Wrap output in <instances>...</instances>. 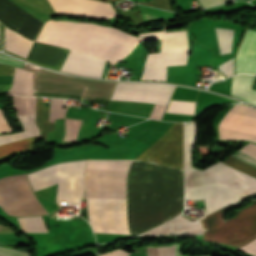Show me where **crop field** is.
<instances>
[{"instance_id": "obj_1", "label": "crop field", "mask_w": 256, "mask_h": 256, "mask_svg": "<svg viewBox=\"0 0 256 256\" xmlns=\"http://www.w3.org/2000/svg\"><path fill=\"white\" fill-rule=\"evenodd\" d=\"M137 160L183 169V123H176ZM133 160L128 170L130 235L140 234L180 214L183 170Z\"/></svg>"}, {"instance_id": "obj_2", "label": "crop field", "mask_w": 256, "mask_h": 256, "mask_svg": "<svg viewBox=\"0 0 256 256\" xmlns=\"http://www.w3.org/2000/svg\"><path fill=\"white\" fill-rule=\"evenodd\" d=\"M195 123H185V200L205 199L206 215L256 194V179L224 163L199 171L189 165Z\"/></svg>"}, {"instance_id": "obj_3", "label": "crop field", "mask_w": 256, "mask_h": 256, "mask_svg": "<svg viewBox=\"0 0 256 256\" xmlns=\"http://www.w3.org/2000/svg\"><path fill=\"white\" fill-rule=\"evenodd\" d=\"M162 35L163 32L140 34V40L160 38ZM36 41L88 53L113 63L122 57L138 38L108 27L49 20L45 22Z\"/></svg>"}, {"instance_id": "obj_4", "label": "crop field", "mask_w": 256, "mask_h": 256, "mask_svg": "<svg viewBox=\"0 0 256 256\" xmlns=\"http://www.w3.org/2000/svg\"><path fill=\"white\" fill-rule=\"evenodd\" d=\"M223 209L201 219L205 235L203 238L223 243L243 246L256 237V200L247 207L238 210L234 218L222 221ZM167 232H203L200 219L194 222L177 216L171 221L144 234Z\"/></svg>"}, {"instance_id": "obj_5", "label": "crop field", "mask_w": 256, "mask_h": 256, "mask_svg": "<svg viewBox=\"0 0 256 256\" xmlns=\"http://www.w3.org/2000/svg\"><path fill=\"white\" fill-rule=\"evenodd\" d=\"M84 160L62 162L28 174L34 191L58 183L56 202L78 204L84 189Z\"/></svg>"}, {"instance_id": "obj_6", "label": "crop field", "mask_w": 256, "mask_h": 256, "mask_svg": "<svg viewBox=\"0 0 256 256\" xmlns=\"http://www.w3.org/2000/svg\"><path fill=\"white\" fill-rule=\"evenodd\" d=\"M24 69L34 71V91L71 94L108 99L114 83L73 78L24 63Z\"/></svg>"}, {"instance_id": "obj_7", "label": "crop field", "mask_w": 256, "mask_h": 256, "mask_svg": "<svg viewBox=\"0 0 256 256\" xmlns=\"http://www.w3.org/2000/svg\"><path fill=\"white\" fill-rule=\"evenodd\" d=\"M160 53L148 55L140 80H158ZM188 42L186 31L165 33L162 37V49L159 65V80L166 79V66L186 64Z\"/></svg>"}, {"instance_id": "obj_8", "label": "crop field", "mask_w": 256, "mask_h": 256, "mask_svg": "<svg viewBox=\"0 0 256 256\" xmlns=\"http://www.w3.org/2000/svg\"><path fill=\"white\" fill-rule=\"evenodd\" d=\"M88 219L95 233L129 235L126 199L86 198Z\"/></svg>"}, {"instance_id": "obj_9", "label": "crop field", "mask_w": 256, "mask_h": 256, "mask_svg": "<svg viewBox=\"0 0 256 256\" xmlns=\"http://www.w3.org/2000/svg\"><path fill=\"white\" fill-rule=\"evenodd\" d=\"M176 86L118 82L110 99L167 105Z\"/></svg>"}, {"instance_id": "obj_10", "label": "crop field", "mask_w": 256, "mask_h": 256, "mask_svg": "<svg viewBox=\"0 0 256 256\" xmlns=\"http://www.w3.org/2000/svg\"><path fill=\"white\" fill-rule=\"evenodd\" d=\"M230 112L256 117V109L245 105H234ZM227 112L219 126L256 134V118ZM219 127L220 138L243 139L256 143V135Z\"/></svg>"}, {"instance_id": "obj_11", "label": "crop field", "mask_w": 256, "mask_h": 256, "mask_svg": "<svg viewBox=\"0 0 256 256\" xmlns=\"http://www.w3.org/2000/svg\"><path fill=\"white\" fill-rule=\"evenodd\" d=\"M56 14H77L94 18L116 15L110 3L95 0H48Z\"/></svg>"}, {"instance_id": "obj_12", "label": "crop field", "mask_w": 256, "mask_h": 256, "mask_svg": "<svg viewBox=\"0 0 256 256\" xmlns=\"http://www.w3.org/2000/svg\"><path fill=\"white\" fill-rule=\"evenodd\" d=\"M17 118L23 126V132L0 135V145L39 135L40 131L35 123V114L19 115ZM38 137L39 136L0 146V157L31 149Z\"/></svg>"}, {"instance_id": "obj_13", "label": "crop field", "mask_w": 256, "mask_h": 256, "mask_svg": "<svg viewBox=\"0 0 256 256\" xmlns=\"http://www.w3.org/2000/svg\"><path fill=\"white\" fill-rule=\"evenodd\" d=\"M105 62L106 60L91 57L82 53L69 50L63 64L79 67L83 69L102 71L104 68ZM64 65L61 66L60 71H63L66 73L96 77V78H100L102 73L97 71H88V70L78 69V68L64 66Z\"/></svg>"}, {"instance_id": "obj_14", "label": "crop field", "mask_w": 256, "mask_h": 256, "mask_svg": "<svg viewBox=\"0 0 256 256\" xmlns=\"http://www.w3.org/2000/svg\"><path fill=\"white\" fill-rule=\"evenodd\" d=\"M256 74V32L247 30L235 55V74Z\"/></svg>"}, {"instance_id": "obj_15", "label": "crop field", "mask_w": 256, "mask_h": 256, "mask_svg": "<svg viewBox=\"0 0 256 256\" xmlns=\"http://www.w3.org/2000/svg\"><path fill=\"white\" fill-rule=\"evenodd\" d=\"M67 52V49L35 42L27 58L59 70Z\"/></svg>"}, {"instance_id": "obj_16", "label": "crop field", "mask_w": 256, "mask_h": 256, "mask_svg": "<svg viewBox=\"0 0 256 256\" xmlns=\"http://www.w3.org/2000/svg\"><path fill=\"white\" fill-rule=\"evenodd\" d=\"M240 150H242L256 158V145L255 144L249 143V144L245 145L244 147H242ZM232 156L256 167V160L245 155L244 153H242L239 150L236 153L232 154ZM232 156L230 158H228L226 161H224V163H226L227 165H229L233 168H236L242 172H245L249 175L256 177V168L251 167V166L237 160L236 158H234Z\"/></svg>"}, {"instance_id": "obj_17", "label": "crop field", "mask_w": 256, "mask_h": 256, "mask_svg": "<svg viewBox=\"0 0 256 256\" xmlns=\"http://www.w3.org/2000/svg\"><path fill=\"white\" fill-rule=\"evenodd\" d=\"M254 76L236 75L233 77L231 96L256 105V91L251 90Z\"/></svg>"}, {"instance_id": "obj_18", "label": "crop field", "mask_w": 256, "mask_h": 256, "mask_svg": "<svg viewBox=\"0 0 256 256\" xmlns=\"http://www.w3.org/2000/svg\"><path fill=\"white\" fill-rule=\"evenodd\" d=\"M33 72L15 67L10 93L22 96H32Z\"/></svg>"}, {"instance_id": "obj_19", "label": "crop field", "mask_w": 256, "mask_h": 256, "mask_svg": "<svg viewBox=\"0 0 256 256\" xmlns=\"http://www.w3.org/2000/svg\"><path fill=\"white\" fill-rule=\"evenodd\" d=\"M32 41L23 38L21 35L10 31L6 28V38H5V49L16 53L22 57H26Z\"/></svg>"}, {"instance_id": "obj_20", "label": "crop field", "mask_w": 256, "mask_h": 256, "mask_svg": "<svg viewBox=\"0 0 256 256\" xmlns=\"http://www.w3.org/2000/svg\"><path fill=\"white\" fill-rule=\"evenodd\" d=\"M49 108L40 103L37 97L36 123L41 130V138H47V131H54V123L48 122Z\"/></svg>"}, {"instance_id": "obj_21", "label": "crop field", "mask_w": 256, "mask_h": 256, "mask_svg": "<svg viewBox=\"0 0 256 256\" xmlns=\"http://www.w3.org/2000/svg\"><path fill=\"white\" fill-rule=\"evenodd\" d=\"M11 97L16 115L35 113L36 97Z\"/></svg>"}, {"instance_id": "obj_22", "label": "crop field", "mask_w": 256, "mask_h": 256, "mask_svg": "<svg viewBox=\"0 0 256 256\" xmlns=\"http://www.w3.org/2000/svg\"><path fill=\"white\" fill-rule=\"evenodd\" d=\"M214 29H215V33L218 41L220 56L230 54L231 52L230 43H231L233 31L226 28H214Z\"/></svg>"}, {"instance_id": "obj_23", "label": "crop field", "mask_w": 256, "mask_h": 256, "mask_svg": "<svg viewBox=\"0 0 256 256\" xmlns=\"http://www.w3.org/2000/svg\"><path fill=\"white\" fill-rule=\"evenodd\" d=\"M139 6L141 8V13L145 21L151 20V19H169L175 15L174 13H170V12H166L158 9H154V8H150L142 5H139Z\"/></svg>"}, {"instance_id": "obj_24", "label": "crop field", "mask_w": 256, "mask_h": 256, "mask_svg": "<svg viewBox=\"0 0 256 256\" xmlns=\"http://www.w3.org/2000/svg\"><path fill=\"white\" fill-rule=\"evenodd\" d=\"M195 102L171 100L167 111L194 114Z\"/></svg>"}, {"instance_id": "obj_25", "label": "crop field", "mask_w": 256, "mask_h": 256, "mask_svg": "<svg viewBox=\"0 0 256 256\" xmlns=\"http://www.w3.org/2000/svg\"><path fill=\"white\" fill-rule=\"evenodd\" d=\"M82 120L65 118L64 139H76Z\"/></svg>"}, {"instance_id": "obj_26", "label": "crop field", "mask_w": 256, "mask_h": 256, "mask_svg": "<svg viewBox=\"0 0 256 256\" xmlns=\"http://www.w3.org/2000/svg\"><path fill=\"white\" fill-rule=\"evenodd\" d=\"M63 103L64 100L51 99L49 121L64 117L66 108H62Z\"/></svg>"}, {"instance_id": "obj_27", "label": "crop field", "mask_w": 256, "mask_h": 256, "mask_svg": "<svg viewBox=\"0 0 256 256\" xmlns=\"http://www.w3.org/2000/svg\"><path fill=\"white\" fill-rule=\"evenodd\" d=\"M148 256H174V244L169 246H147Z\"/></svg>"}, {"instance_id": "obj_28", "label": "crop field", "mask_w": 256, "mask_h": 256, "mask_svg": "<svg viewBox=\"0 0 256 256\" xmlns=\"http://www.w3.org/2000/svg\"><path fill=\"white\" fill-rule=\"evenodd\" d=\"M220 72L223 74V77H229L233 75V59L219 65Z\"/></svg>"}, {"instance_id": "obj_29", "label": "crop field", "mask_w": 256, "mask_h": 256, "mask_svg": "<svg viewBox=\"0 0 256 256\" xmlns=\"http://www.w3.org/2000/svg\"><path fill=\"white\" fill-rule=\"evenodd\" d=\"M0 256H30L28 253L0 247Z\"/></svg>"}, {"instance_id": "obj_30", "label": "crop field", "mask_w": 256, "mask_h": 256, "mask_svg": "<svg viewBox=\"0 0 256 256\" xmlns=\"http://www.w3.org/2000/svg\"><path fill=\"white\" fill-rule=\"evenodd\" d=\"M0 64L12 65L22 67L23 62L10 58L8 56L0 54Z\"/></svg>"}, {"instance_id": "obj_31", "label": "crop field", "mask_w": 256, "mask_h": 256, "mask_svg": "<svg viewBox=\"0 0 256 256\" xmlns=\"http://www.w3.org/2000/svg\"><path fill=\"white\" fill-rule=\"evenodd\" d=\"M239 249L256 256V238Z\"/></svg>"}, {"instance_id": "obj_32", "label": "crop field", "mask_w": 256, "mask_h": 256, "mask_svg": "<svg viewBox=\"0 0 256 256\" xmlns=\"http://www.w3.org/2000/svg\"><path fill=\"white\" fill-rule=\"evenodd\" d=\"M202 7L207 8V7H211V6H215V5H219L222 3H226L232 0H199Z\"/></svg>"}, {"instance_id": "obj_33", "label": "crop field", "mask_w": 256, "mask_h": 256, "mask_svg": "<svg viewBox=\"0 0 256 256\" xmlns=\"http://www.w3.org/2000/svg\"><path fill=\"white\" fill-rule=\"evenodd\" d=\"M11 131L8 123L6 122L5 118L2 115V110L0 109V133Z\"/></svg>"}, {"instance_id": "obj_34", "label": "crop field", "mask_w": 256, "mask_h": 256, "mask_svg": "<svg viewBox=\"0 0 256 256\" xmlns=\"http://www.w3.org/2000/svg\"><path fill=\"white\" fill-rule=\"evenodd\" d=\"M14 67L0 65V75H13Z\"/></svg>"}, {"instance_id": "obj_35", "label": "crop field", "mask_w": 256, "mask_h": 256, "mask_svg": "<svg viewBox=\"0 0 256 256\" xmlns=\"http://www.w3.org/2000/svg\"><path fill=\"white\" fill-rule=\"evenodd\" d=\"M129 253L123 250H115L108 253L100 254L99 256H127Z\"/></svg>"}, {"instance_id": "obj_36", "label": "crop field", "mask_w": 256, "mask_h": 256, "mask_svg": "<svg viewBox=\"0 0 256 256\" xmlns=\"http://www.w3.org/2000/svg\"><path fill=\"white\" fill-rule=\"evenodd\" d=\"M135 252L131 253L129 256H147L146 248L134 249Z\"/></svg>"}, {"instance_id": "obj_37", "label": "crop field", "mask_w": 256, "mask_h": 256, "mask_svg": "<svg viewBox=\"0 0 256 256\" xmlns=\"http://www.w3.org/2000/svg\"><path fill=\"white\" fill-rule=\"evenodd\" d=\"M175 256H183L181 255V243L175 244Z\"/></svg>"}, {"instance_id": "obj_38", "label": "crop field", "mask_w": 256, "mask_h": 256, "mask_svg": "<svg viewBox=\"0 0 256 256\" xmlns=\"http://www.w3.org/2000/svg\"><path fill=\"white\" fill-rule=\"evenodd\" d=\"M9 87L10 85L0 84V93L7 91Z\"/></svg>"}, {"instance_id": "obj_39", "label": "crop field", "mask_w": 256, "mask_h": 256, "mask_svg": "<svg viewBox=\"0 0 256 256\" xmlns=\"http://www.w3.org/2000/svg\"><path fill=\"white\" fill-rule=\"evenodd\" d=\"M136 1H148V0H136Z\"/></svg>"}, {"instance_id": "obj_40", "label": "crop field", "mask_w": 256, "mask_h": 256, "mask_svg": "<svg viewBox=\"0 0 256 256\" xmlns=\"http://www.w3.org/2000/svg\"><path fill=\"white\" fill-rule=\"evenodd\" d=\"M115 1H117V0H115Z\"/></svg>"}]
</instances>
